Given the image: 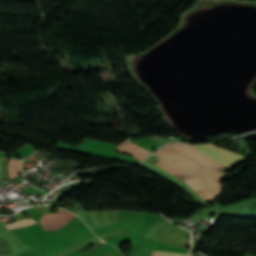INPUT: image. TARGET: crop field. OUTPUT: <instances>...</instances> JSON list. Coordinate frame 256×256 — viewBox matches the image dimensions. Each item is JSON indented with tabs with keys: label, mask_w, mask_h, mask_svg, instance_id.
I'll return each mask as SVG.
<instances>
[{
	"label": "crop field",
	"mask_w": 256,
	"mask_h": 256,
	"mask_svg": "<svg viewBox=\"0 0 256 256\" xmlns=\"http://www.w3.org/2000/svg\"><path fill=\"white\" fill-rule=\"evenodd\" d=\"M156 153H158L162 156H165L167 158H170V159L178 162L182 166L188 168L189 170H191L192 172H194L195 174L200 176L202 179H204L206 181V183L208 185H210L218 195H220L221 184L217 181V179L211 173L202 169L199 165L193 163L192 161L188 160L187 158H185L177 153H173L164 148L160 149Z\"/></svg>",
	"instance_id": "1"
},
{
	"label": "crop field",
	"mask_w": 256,
	"mask_h": 256,
	"mask_svg": "<svg viewBox=\"0 0 256 256\" xmlns=\"http://www.w3.org/2000/svg\"><path fill=\"white\" fill-rule=\"evenodd\" d=\"M196 147H198L201 151H203L207 155L211 156L217 162H219L229 168L248 159L243 156L237 155L235 153L229 152L222 148L215 147L210 144H204V145H200V146H196Z\"/></svg>",
	"instance_id": "2"
},
{
	"label": "crop field",
	"mask_w": 256,
	"mask_h": 256,
	"mask_svg": "<svg viewBox=\"0 0 256 256\" xmlns=\"http://www.w3.org/2000/svg\"><path fill=\"white\" fill-rule=\"evenodd\" d=\"M171 147L181 150L193 158L197 159L200 161L202 164H204L206 167L214 171L221 179L224 178L222 174H220L217 170H228V168L220 165L216 161H214L212 158L209 156L205 155L204 153L200 152L196 147L191 146V145H184V144H170Z\"/></svg>",
	"instance_id": "3"
},
{
	"label": "crop field",
	"mask_w": 256,
	"mask_h": 256,
	"mask_svg": "<svg viewBox=\"0 0 256 256\" xmlns=\"http://www.w3.org/2000/svg\"><path fill=\"white\" fill-rule=\"evenodd\" d=\"M77 217L76 215L66 211H58L45 214L41 217L40 223L45 231L62 228L69 220Z\"/></svg>",
	"instance_id": "4"
},
{
	"label": "crop field",
	"mask_w": 256,
	"mask_h": 256,
	"mask_svg": "<svg viewBox=\"0 0 256 256\" xmlns=\"http://www.w3.org/2000/svg\"><path fill=\"white\" fill-rule=\"evenodd\" d=\"M155 165H157V166L161 167L162 169L168 171L169 173L173 174L174 176H176L177 178H179L180 180H182L183 182L188 184L190 187H192L203 198V200L205 202H208V201L211 200L210 197L203 191V189L200 187V185L197 182H195L192 179L186 177L185 175L177 172L176 170L167 166L166 164H164L160 160Z\"/></svg>",
	"instance_id": "5"
},
{
	"label": "crop field",
	"mask_w": 256,
	"mask_h": 256,
	"mask_svg": "<svg viewBox=\"0 0 256 256\" xmlns=\"http://www.w3.org/2000/svg\"><path fill=\"white\" fill-rule=\"evenodd\" d=\"M121 146L126 147V148H128V149H130V150H132V151H135V152H137V153H139V154H141V155H143V156H145V157L149 154V152L145 151V150L142 149L141 147H139V146H137L136 144H134V143H132V142H130V141H127V140H125V141L121 144ZM121 146H118V148H119V149H123V150H127V149H125V148H123V147H121ZM127 151H129V150H127ZM130 152H131V151H130ZM131 153L137 155L138 157H140V158H142V159L144 158V157L138 155L137 153H134V152H131Z\"/></svg>",
	"instance_id": "6"
},
{
	"label": "crop field",
	"mask_w": 256,
	"mask_h": 256,
	"mask_svg": "<svg viewBox=\"0 0 256 256\" xmlns=\"http://www.w3.org/2000/svg\"><path fill=\"white\" fill-rule=\"evenodd\" d=\"M20 165H21V161L10 159L9 166H8L9 178H14L16 177L17 173L21 172Z\"/></svg>",
	"instance_id": "7"
},
{
	"label": "crop field",
	"mask_w": 256,
	"mask_h": 256,
	"mask_svg": "<svg viewBox=\"0 0 256 256\" xmlns=\"http://www.w3.org/2000/svg\"><path fill=\"white\" fill-rule=\"evenodd\" d=\"M18 151H16L11 157L12 158H16V156H20L21 159L25 158L26 156L35 153L36 151H34L29 145H24L23 147L17 149Z\"/></svg>",
	"instance_id": "8"
},
{
	"label": "crop field",
	"mask_w": 256,
	"mask_h": 256,
	"mask_svg": "<svg viewBox=\"0 0 256 256\" xmlns=\"http://www.w3.org/2000/svg\"><path fill=\"white\" fill-rule=\"evenodd\" d=\"M154 155H156V156H158V157H160V158H162V159H164V160L170 162L171 164H173V165H175V166H177V167L183 169L184 171L188 172L189 174L195 176L196 178H198V179L205 185V187H206L215 197L218 196V195L214 192V190H213L210 186H208V185L205 183L204 180L200 179L197 175H195V174L189 172L188 170H186L185 168H183V167L180 166L179 164H177V163H175V162H173V161H171V160H169V159H167V158H165V157H162V156H160V155H158V154H156V153H155Z\"/></svg>",
	"instance_id": "9"
},
{
	"label": "crop field",
	"mask_w": 256,
	"mask_h": 256,
	"mask_svg": "<svg viewBox=\"0 0 256 256\" xmlns=\"http://www.w3.org/2000/svg\"><path fill=\"white\" fill-rule=\"evenodd\" d=\"M34 223H37V222L35 220L26 219V220H22V221L12 223V224H8L7 227H8V229L19 228V227L34 224Z\"/></svg>",
	"instance_id": "10"
},
{
	"label": "crop field",
	"mask_w": 256,
	"mask_h": 256,
	"mask_svg": "<svg viewBox=\"0 0 256 256\" xmlns=\"http://www.w3.org/2000/svg\"><path fill=\"white\" fill-rule=\"evenodd\" d=\"M165 148H167V149H169V150H172V151H174V152H177V153H179V154H181V155L187 157L188 159L192 160L193 162L199 164L201 167H203V168H205L206 170H208L209 172H211L215 177L218 178V180H220V178H219L215 173H213L211 170H209L208 168H206L205 166H203L201 163H199L198 161L194 160V159L191 158L190 156H188V155H186V154H184V153H182V152H180V151H178V150H175V149L171 148V147L168 146V145L165 146Z\"/></svg>",
	"instance_id": "11"
},
{
	"label": "crop field",
	"mask_w": 256,
	"mask_h": 256,
	"mask_svg": "<svg viewBox=\"0 0 256 256\" xmlns=\"http://www.w3.org/2000/svg\"><path fill=\"white\" fill-rule=\"evenodd\" d=\"M152 256H189V254L162 252L154 250Z\"/></svg>",
	"instance_id": "12"
},
{
	"label": "crop field",
	"mask_w": 256,
	"mask_h": 256,
	"mask_svg": "<svg viewBox=\"0 0 256 256\" xmlns=\"http://www.w3.org/2000/svg\"><path fill=\"white\" fill-rule=\"evenodd\" d=\"M160 160H161V159H160ZM161 161H163V160H161ZM163 162L166 163L167 165L173 167L174 169L180 171L181 173H183V174H185V175L191 177V178L194 179L195 181H197V182L202 186V188L205 190V192H206L210 197L214 198V196L204 187L203 184H201V183L199 182L198 179L194 178L193 176L189 175L188 173H186V172H184V171H182V170L176 168L175 166H173V165H171V164H169V163H167V162H165V161H163Z\"/></svg>",
	"instance_id": "13"
},
{
	"label": "crop field",
	"mask_w": 256,
	"mask_h": 256,
	"mask_svg": "<svg viewBox=\"0 0 256 256\" xmlns=\"http://www.w3.org/2000/svg\"><path fill=\"white\" fill-rule=\"evenodd\" d=\"M116 151L124 152V153H126V154H128L130 156H134L133 154H131L129 152H126V151H122V150H118V149H116ZM134 157H136V156H134ZM136 158H138V157H136ZM138 159H140V158H138ZM140 160H142V159H140Z\"/></svg>",
	"instance_id": "14"
}]
</instances>
